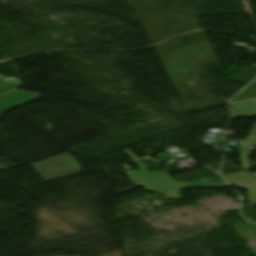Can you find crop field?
<instances>
[{
	"instance_id": "1",
	"label": "crop field",
	"mask_w": 256,
	"mask_h": 256,
	"mask_svg": "<svg viewBox=\"0 0 256 256\" xmlns=\"http://www.w3.org/2000/svg\"><path fill=\"white\" fill-rule=\"evenodd\" d=\"M141 171H129L127 176L131 183L144 186L145 190L158 194L179 198L178 188L185 187H206L217 188L226 187V184H208V183H174L173 179L167 176V173L147 172L143 163L135 161Z\"/></svg>"
},
{
	"instance_id": "2",
	"label": "crop field",
	"mask_w": 256,
	"mask_h": 256,
	"mask_svg": "<svg viewBox=\"0 0 256 256\" xmlns=\"http://www.w3.org/2000/svg\"><path fill=\"white\" fill-rule=\"evenodd\" d=\"M46 182L81 171V169L66 154L58 155L48 160L33 164Z\"/></svg>"
},
{
	"instance_id": "3",
	"label": "crop field",
	"mask_w": 256,
	"mask_h": 256,
	"mask_svg": "<svg viewBox=\"0 0 256 256\" xmlns=\"http://www.w3.org/2000/svg\"><path fill=\"white\" fill-rule=\"evenodd\" d=\"M39 94L34 92L27 93L25 91L11 92L0 97V116L3 112L22 106L39 99Z\"/></svg>"
},
{
	"instance_id": "4",
	"label": "crop field",
	"mask_w": 256,
	"mask_h": 256,
	"mask_svg": "<svg viewBox=\"0 0 256 256\" xmlns=\"http://www.w3.org/2000/svg\"><path fill=\"white\" fill-rule=\"evenodd\" d=\"M231 185L243 186L248 189L247 199L250 202L256 201V178L251 176L246 171L224 176Z\"/></svg>"
},
{
	"instance_id": "5",
	"label": "crop field",
	"mask_w": 256,
	"mask_h": 256,
	"mask_svg": "<svg viewBox=\"0 0 256 256\" xmlns=\"http://www.w3.org/2000/svg\"><path fill=\"white\" fill-rule=\"evenodd\" d=\"M234 106L235 109H232L234 112V117L256 116V100L234 104Z\"/></svg>"
},
{
	"instance_id": "6",
	"label": "crop field",
	"mask_w": 256,
	"mask_h": 256,
	"mask_svg": "<svg viewBox=\"0 0 256 256\" xmlns=\"http://www.w3.org/2000/svg\"><path fill=\"white\" fill-rule=\"evenodd\" d=\"M22 86L19 79L0 75V95Z\"/></svg>"
},
{
	"instance_id": "7",
	"label": "crop field",
	"mask_w": 256,
	"mask_h": 256,
	"mask_svg": "<svg viewBox=\"0 0 256 256\" xmlns=\"http://www.w3.org/2000/svg\"><path fill=\"white\" fill-rule=\"evenodd\" d=\"M255 78H256V66L247 67L244 70L237 73L236 75L232 76L230 79L248 84Z\"/></svg>"
},
{
	"instance_id": "8",
	"label": "crop field",
	"mask_w": 256,
	"mask_h": 256,
	"mask_svg": "<svg viewBox=\"0 0 256 256\" xmlns=\"http://www.w3.org/2000/svg\"><path fill=\"white\" fill-rule=\"evenodd\" d=\"M238 145L240 149V160L242 161L241 166L243 169L247 170L249 169L247 158L250 155L248 148L249 146L256 145V142H243V143H238Z\"/></svg>"
},
{
	"instance_id": "9",
	"label": "crop field",
	"mask_w": 256,
	"mask_h": 256,
	"mask_svg": "<svg viewBox=\"0 0 256 256\" xmlns=\"http://www.w3.org/2000/svg\"><path fill=\"white\" fill-rule=\"evenodd\" d=\"M256 98V81L245 89L242 93L236 96L231 103Z\"/></svg>"
},
{
	"instance_id": "10",
	"label": "crop field",
	"mask_w": 256,
	"mask_h": 256,
	"mask_svg": "<svg viewBox=\"0 0 256 256\" xmlns=\"http://www.w3.org/2000/svg\"><path fill=\"white\" fill-rule=\"evenodd\" d=\"M248 140H253V139H256V123L254 124L248 138Z\"/></svg>"
},
{
	"instance_id": "11",
	"label": "crop field",
	"mask_w": 256,
	"mask_h": 256,
	"mask_svg": "<svg viewBox=\"0 0 256 256\" xmlns=\"http://www.w3.org/2000/svg\"><path fill=\"white\" fill-rule=\"evenodd\" d=\"M202 182H224L223 179L201 180Z\"/></svg>"
},
{
	"instance_id": "12",
	"label": "crop field",
	"mask_w": 256,
	"mask_h": 256,
	"mask_svg": "<svg viewBox=\"0 0 256 256\" xmlns=\"http://www.w3.org/2000/svg\"><path fill=\"white\" fill-rule=\"evenodd\" d=\"M125 152L133 159L136 160V156L130 153V150H125Z\"/></svg>"
},
{
	"instance_id": "13",
	"label": "crop field",
	"mask_w": 256,
	"mask_h": 256,
	"mask_svg": "<svg viewBox=\"0 0 256 256\" xmlns=\"http://www.w3.org/2000/svg\"><path fill=\"white\" fill-rule=\"evenodd\" d=\"M252 175H254L256 177V173H253Z\"/></svg>"
}]
</instances>
